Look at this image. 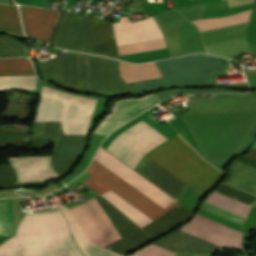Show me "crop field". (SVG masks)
<instances>
[{
	"label": "crop field",
	"instance_id": "obj_1",
	"mask_svg": "<svg viewBox=\"0 0 256 256\" xmlns=\"http://www.w3.org/2000/svg\"><path fill=\"white\" fill-rule=\"evenodd\" d=\"M140 120L137 117L123 125L110 134L101 146L106 149L117 135ZM153 129L142 120L116 137L106 150L134 169L145 153L168 140ZM190 147L176 135L145 155L201 195L223 172L215 169L213 164L214 167L211 166L209 161L210 164L207 163L205 158L204 161L201 155L200 158L197 151Z\"/></svg>",
	"mask_w": 256,
	"mask_h": 256
},
{
	"label": "crop field",
	"instance_id": "obj_2",
	"mask_svg": "<svg viewBox=\"0 0 256 256\" xmlns=\"http://www.w3.org/2000/svg\"><path fill=\"white\" fill-rule=\"evenodd\" d=\"M85 256H121L88 241L65 205L60 206ZM60 209L26 214L17 234L0 245V256H84Z\"/></svg>",
	"mask_w": 256,
	"mask_h": 256
},
{
	"label": "crop field",
	"instance_id": "obj_3",
	"mask_svg": "<svg viewBox=\"0 0 256 256\" xmlns=\"http://www.w3.org/2000/svg\"><path fill=\"white\" fill-rule=\"evenodd\" d=\"M118 64L119 61L99 56L65 52L58 58L49 62H43V65L41 62L40 73L42 65V74L44 76L65 86L107 93H129L134 83L126 85L118 74ZM43 75V78L61 87L68 88ZM68 89L79 92L96 93L109 97L124 95L88 92L72 88Z\"/></svg>",
	"mask_w": 256,
	"mask_h": 256
},
{
	"label": "crop field",
	"instance_id": "obj_4",
	"mask_svg": "<svg viewBox=\"0 0 256 256\" xmlns=\"http://www.w3.org/2000/svg\"><path fill=\"white\" fill-rule=\"evenodd\" d=\"M49 43L119 59L112 23L95 17L60 12Z\"/></svg>",
	"mask_w": 256,
	"mask_h": 256
},
{
	"label": "crop field",
	"instance_id": "obj_5",
	"mask_svg": "<svg viewBox=\"0 0 256 256\" xmlns=\"http://www.w3.org/2000/svg\"><path fill=\"white\" fill-rule=\"evenodd\" d=\"M85 172L153 220L168 212L96 160H93ZM110 190L101 196L109 200L141 228L153 221Z\"/></svg>",
	"mask_w": 256,
	"mask_h": 256
},
{
	"label": "crop field",
	"instance_id": "obj_6",
	"mask_svg": "<svg viewBox=\"0 0 256 256\" xmlns=\"http://www.w3.org/2000/svg\"><path fill=\"white\" fill-rule=\"evenodd\" d=\"M97 101L43 86L33 121H63L65 134H85Z\"/></svg>",
	"mask_w": 256,
	"mask_h": 256
},
{
	"label": "crop field",
	"instance_id": "obj_7",
	"mask_svg": "<svg viewBox=\"0 0 256 256\" xmlns=\"http://www.w3.org/2000/svg\"><path fill=\"white\" fill-rule=\"evenodd\" d=\"M96 199L122 237L140 229L105 199L101 198L100 196L96 197ZM97 201L94 198L84 203L83 206L90 214V216L110 244L120 239L121 236L114 228V226L112 225L102 208L99 206ZM83 206L82 204H80L70 209V212L72 213V215L80 225L81 229L91 242L98 244L102 247L108 245V242L101 234V232L99 231V229L97 228V226L95 225V223Z\"/></svg>",
	"mask_w": 256,
	"mask_h": 256
},
{
	"label": "crop field",
	"instance_id": "obj_8",
	"mask_svg": "<svg viewBox=\"0 0 256 256\" xmlns=\"http://www.w3.org/2000/svg\"><path fill=\"white\" fill-rule=\"evenodd\" d=\"M165 209H167L169 212L154 220L142 229L156 237L192 214L176 202ZM142 231L140 229L105 248L123 254L152 239Z\"/></svg>",
	"mask_w": 256,
	"mask_h": 256
},
{
	"label": "crop field",
	"instance_id": "obj_9",
	"mask_svg": "<svg viewBox=\"0 0 256 256\" xmlns=\"http://www.w3.org/2000/svg\"><path fill=\"white\" fill-rule=\"evenodd\" d=\"M94 159L150 197L152 200L160 204L162 207L165 208L176 201L155 185L147 181L145 178L137 174L131 168L116 159L114 156L106 152L104 149L100 148Z\"/></svg>",
	"mask_w": 256,
	"mask_h": 256
},
{
	"label": "crop field",
	"instance_id": "obj_10",
	"mask_svg": "<svg viewBox=\"0 0 256 256\" xmlns=\"http://www.w3.org/2000/svg\"><path fill=\"white\" fill-rule=\"evenodd\" d=\"M179 230L199 237L223 248L241 246L242 233L195 214Z\"/></svg>",
	"mask_w": 256,
	"mask_h": 256
},
{
	"label": "crop field",
	"instance_id": "obj_11",
	"mask_svg": "<svg viewBox=\"0 0 256 256\" xmlns=\"http://www.w3.org/2000/svg\"><path fill=\"white\" fill-rule=\"evenodd\" d=\"M160 100L161 98L157 94H147L140 98L117 100L112 107L111 113L101 121L94 133L107 135L109 132L120 126L122 122Z\"/></svg>",
	"mask_w": 256,
	"mask_h": 256
},
{
	"label": "crop field",
	"instance_id": "obj_12",
	"mask_svg": "<svg viewBox=\"0 0 256 256\" xmlns=\"http://www.w3.org/2000/svg\"><path fill=\"white\" fill-rule=\"evenodd\" d=\"M59 122H45V137L57 138ZM86 136L62 135L52 157L51 167L62 176L81 150Z\"/></svg>",
	"mask_w": 256,
	"mask_h": 256
},
{
	"label": "crop field",
	"instance_id": "obj_13",
	"mask_svg": "<svg viewBox=\"0 0 256 256\" xmlns=\"http://www.w3.org/2000/svg\"><path fill=\"white\" fill-rule=\"evenodd\" d=\"M113 26L117 46L164 38L153 17L133 23L121 17Z\"/></svg>",
	"mask_w": 256,
	"mask_h": 256
},
{
	"label": "crop field",
	"instance_id": "obj_14",
	"mask_svg": "<svg viewBox=\"0 0 256 256\" xmlns=\"http://www.w3.org/2000/svg\"><path fill=\"white\" fill-rule=\"evenodd\" d=\"M0 75H36L28 59H0ZM36 76H0V89H35Z\"/></svg>",
	"mask_w": 256,
	"mask_h": 256
},
{
	"label": "crop field",
	"instance_id": "obj_15",
	"mask_svg": "<svg viewBox=\"0 0 256 256\" xmlns=\"http://www.w3.org/2000/svg\"><path fill=\"white\" fill-rule=\"evenodd\" d=\"M152 244L174 253L192 255H204L223 249L179 230L169 233Z\"/></svg>",
	"mask_w": 256,
	"mask_h": 256
},
{
	"label": "crop field",
	"instance_id": "obj_16",
	"mask_svg": "<svg viewBox=\"0 0 256 256\" xmlns=\"http://www.w3.org/2000/svg\"><path fill=\"white\" fill-rule=\"evenodd\" d=\"M25 34L36 40L47 42L55 24L57 10L20 6Z\"/></svg>",
	"mask_w": 256,
	"mask_h": 256
},
{
	"label": "crop field",
	"instance_id": "obj_17",
	"mask_svg": "<svg viewBox=\"0 0 256 256\" xmlns=\"http://www.w3.org/2000/svg\"><path fill=\"white\" fill-rule=\"evenodd\" d=\"M134 170L176 200L187 186L145 155Z\"/></svg>",
	"mask_w": 256,
	"mask_h": 256
},
{
	"label": "crop field",
	"instance_id": "obj_18",
	"mask_svg": "<svg viewBox=\"0 0 256 256\" xmlns=\"http://www.w3.org/2000/svg\"><path fill=\"white\" fill-rule=\"evenodd\" d=\"M19 182L42 181L59 178L49 167V156L9 158Z\"/></svg>",
	"mask_w": 256,
	"mask_h": 256
},
{
	"label": "crop field",
	"instance_id": "obj_19",
	"mask_svg": "<svg viewBox=\"0 0 256 256\" xmlns=\"http://www.w3.org/2000/svg\"><path fill=\"white\" fill-rule=\"evenodd\" d=\"M0 32L23 34L17 6L0 5Z\"/></svg>",
	"mask_w": 256,
	"mask_h": 256
},
{
	"label": "crop field",
	"instance_id": "obj_20",
	"mask_svg": "<svg viewBox=\"0 0 256 256\" xmlns=\"http://www.w3.org/2000/svg\"><path fill=\"white\" fill-rule=\"evenodd\" d=\"M205 202L210 203L212 205H215L217 207H220L222 209H225L229 212H232L234 214H237L242 217H246L247 212L249 210V206L242 204L238 201H235L229 197H226L222 194H219L215 191H213L205 200Z\"/></svg>",
	"mask_w": 256,
	"mask_h": 256
},
{
	"label": "crop field",
	"instance_id": "obj_21",
	"mask_svg": "<svg viewBox=\"0 0 256 256\" xmlns=\"http://www.w3.org/2000/svg\"><path fill=\"white\" fill-rule=\"evenodd\" d=\"M205 47L208 53L222 57L249 51L245 37L216 43Z\"/></svg>",
	"mask_w": 256,
	"mask_h": 256
},
{
	"label": "crop field",
	"instance_id": "obj_22",
	"mask_svg": "<svg viewBox=\"0 0 256 256\" xmlns=\"http://www.w3.org/2000/svg\"><path fill=\"white\" fill-rule=\"evenodd\" d=\"M14 235L11 201L0 202V236Z\"/></svg>",
	"mask_w": 256,
	"mask_h": 256
},
{
	"label": "crop field",
	"instance_id": "obj_23",
	"mask_svg": "<svg viewBox=\"0 0 256 256\" xmlns=\"http://www.w3.org/2000/svg\"><path fill=\"white\" fill-rule=\"evenodd\" d=\"M25 56L23 44L7 36H0V57Z\"/></svg>",
	"mask_w": 256,
	"mask_h": 256
},
{
	"label": "crop field",
	"instance_id": "obj_24",
	"mask_svg": "<svg viewBox=\"0 0 256 256\" xmlns=\"http://www.w3.org/2000/svg\"><path fill=\"white\" fill-rule=\"evenodd\" d=\"M129 256H175V254L150 244Z\"/></svg>",
	"mask_w": 256,
	"mask_h": 256
},
{
	"label": "crop field",
	"instance_id": "obj_25",
	"mask_svg": "<svg viewBox=\"0 0 256 256\" xmlns=\"http://www.w3.org/2000/svg\"><path fill=\"white\" fill-rule=\"evenodd\" d=\"M98 181V180H97ZM95 179H93L92 177L89 178L88 180H86L85 183L87 186H89L90 188H92L94 191H96L98 194H102L103 192L109 190L106 187H104L102 184H100L99 182H97Z\"/></svg>",
	"mask_w": 256,
	"mask_h": 256
},
{
	"label": "crop field",
	"instance_id": "obj_26",
	"mask_svg": "<svg viewBox=\"0 0 256 256\" xmlns=\"http://www.w3.org/2000/svg\"><path fill=\"white\" fill-rule=\"evenodd\" d=\"M253 1H255V0H228V3H229V7H231V6L249 3V2H253Z\"/></svg>",
	"mask_w": 256,
	"mask_h": 256
},
{
	"label": "crop field",
	"instance_id": "obj_27",
	"mask_svg": "<svg viewBox=\"0 0 256 256\" xmlns=\"http://www.w3.org/2000/svg\"><path fill=\"white\" fill-rule=\"evenodd\" d=\"M246 157L256 160V150L251 148L247 153Z\"/></svg>",
	"mask_w": 256,
	"mask_h": 256
},
{
	"label": "crop field",
	"instance_id": "obj_28",
	"mask_svg": "<svg viewBox=\"0 0 256 256\" xmlns=\"http://www.w3.org/2000/svg\"><path fill=\"white\" fill-rule=\"evenodd\" d=\"M176 256H182V255H176ZM207 256H210V254H209V255H207Z\"/></svg>",
	"mask_w": 256,
	"mask_h": 256
},
{
	"label": "crop field",
	"instance_id": "obj_29",
	"mask_svg": "<svg viewBox=\"0 0 256 256\" xmlns=\"http://www.w3.org/2000/svg\"><path fill=\"white\" fill-rule=\"evenodd\" d=\"M233 218V217H232ZM235 219V218H234ZM240 221V220H239ZM242 222V221H241Z\"/></svg>",
	"mask_w": 256,
	"mask_h": 256
}]
</instances>
